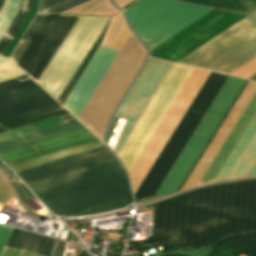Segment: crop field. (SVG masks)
Instances as JSON below:
<instances>
[{
	"mask_svg": "<svg viewBox=\"0 0 256 256\" xmlns=\"http://www.w3.org/2000/svg\"><path fill=\"white\" fill-rule=\"evenodd\" d=\"M96 139L85 128L63 134L54 138L40 141L19 149L1 153L0 157L8 164L17 163L46 153L60 150L69 146Z\"/></svg>",
	"mask_w": 256,
	"mask_h": 256,
	"instance_id": "obj_13",
	"label": "crop field"
},
{
	"mask_svg": "<svg viewBox=\"0 0 256 256\" xmlns=\"http://www.w3.org/2000/svg\"><path fill=\"white\" fill-rule=\"evenodd\" d=\"M15 194L0 173V202L6 204Z\"/></svg>",
	"mask_w": 256,
	"mask_h": 256,
	"instance_id": "obj_25",
	"label": "crop field"
},
{
	"mask_svg": "<svg viewBox=\"0 0 256 256\" xmlns=\"http://www.w3.org/2000/svg\"><path fill=\"white\" fill-rule=\"evenodd\" d=\"M63 113H67V111L65 109H63L59 104L50 106V107H47V108H44V109H41L38 111H34V112H31V113H28L25 115H21V116L0 122V132L9 130L12 128H16V127H19L22 125H26V124H29L32 122H36V121H39L42 119H46V118H49L52 116L63 114ZM67 128H69L72 131V130H76L79 128H83V126L81 124H79L76 120H74V121H71V122L63 124V125L39 130V133L41 134V136H43V135H47V134L57 132V131L67 129ZM69 129L63 130V131H60L57 133H53V134H50L47 136H43V137H41L40 134L38 133V131H36L33 133H29V134L11 139L12 141L16 140L19 145H17L16 141L11 142L10 139L6 140V141H2V142H0V153L7 151L6 148H8V147H11L14 145L20 146L23 144H27V143H30V142H33L36 140H40V139H43V138H46L49 136H53V135H56V134H59L62 132L69 131ZM17 146H14V147H17ZM14 147L8 148V150L12 149Z\"/></svg>",
	"mask_w": 256,
	"mask_h": 256,
	"instance_id": "obj_11",
	"label": "crop field"
},
{
	"mask_svg": "<svg viewBox=\"0 0 256 256\" xmlns=\"http://www.w3.org/2000/svg\"><path fill=\"white\" fill-rule=\"evenodd\" d=\"M256 56V11L179 63L229 74Z\"/></svg>",
	"mask_w": 256,
	"mask_h": 256,
	"instance_id": "obj_4",
	"label": "crop field"
},
{
	"mask_svg": "<svg viewBox=\"0 0 256 256\" xmlns=\"http://www.w3.org/2000/svg\"><path fill=\"white\" fill-rule=\"evenodd\" d=\"M244 17L213 9L150 51L151 56L177 62Z\"/></svg>",
	"mask_w": 256,
	"mask_h": 256,
	"instance_id": "obj_8",
	"label": "crop field"
},
{
	"mask_svg": "<svg viewBox=\"0 0 256 256\" xmlns=\"http://www.w3.org/2000/svg\"><path fill=\"white\" fill-rule=\"evenodd\" d=\"M130 32L124 17L120 13L112 17L102 44L121 50Z\"/></svg>",
	"mask_w": 256,
	"mask_h": 256,
	"instance_id": "obj_16",
	"label": "crop field"
},
{
	"mask_svg": "<svg viewBox=\"0 0 256 256\" xmlns=\"http://www.w3.org/2000/svg\"><path fill=\"white\" fill-rule=\"evenodd\" d=\"M79 16L49 14L19 63L35 82Z\"/></svg>",
	"mask_w": 256,
	"mask_h": 256,
	"instance_id": "obj_9",
	"label": "crop field"
},
{
	"mask_svg": "<svg viewBox=\"0 0 256 256\" xmlns=\"http://www.w3.org/2000/svg\"><path fill=\"white\" fill-rule=\"evenodd\" d=\"M255 92L256 83L248 81L245 88L241 92L240 96L236 100L235 104L231 108L230 112L226 116L225 120L221 124L220 128L216 132L215 136L209 143L208 147L204 151L203 155L199 159L198 163L194 167L193 171L191 172V174L189 175L188 179L186 180L181 189L197 185L200 178L206 171L207 167L213 160L214 156L220 149L221 145L227 138L228 134L230 133L234 125L236 124L237 120L243 113L244 109L250 102Z\"/></svg>",
	"mask_w": 256,
	"mask_h": 256,
	"instance_id": "obj_10",
	"label": "crop field"
},
{
	"mask_svg": "<svg viewBox=\"0 0 256 256\" xmlns=\"http://www.w3.org/2000/svg\"><path fill=\"white\" fill-rule=\"evenodd\" d=\"M195 4L211 6L229 11L248 14L256 8V0H180Z\"/></svg>",
	"mask_w": 256,
	"mask_h": 256,
	"instance_id": "obj_17",
	"label": "crop field"
},
{
	"mask_svg": "<svg viewBox=\"0 0 256 256\" xmlns=\"http://www.w3.org/2000/svg\"><path fill=\"white\" fill-rule=\"evenodd\" d=\"M31 84H34V82L30 80L26 75L4 81L0 83V94Z\"/></svg>",
	"mask_w": 256,
	"mask_h": 256,
	"instance_id": "obj_21",
	"label": "crop field"
},
{
	"mask_svg": "<svg viewBox=\"0 0 256 256\" xmlns=\"http://www.w3.org/2000/svg\"><path fill=\"white\" fill-rule=\"evenodd\" d=\"M248 79H252V80H255V81H256V73L253 74L252 76H250Z\"/></svg>",
	"mask_w": 256,
	"mask_h": 256,
	"instance_id": "obj_32",
	"label": "crop field"
},
{
	"mask_svg": "<svg viewBox=\"0 0 256 256\" xmlns=\"http://www.w3.org/2000/svg\"><path fill=\"white\" fill-rule=\"evenodd\" d=\"M111 158L114 156L103 146L17 174L28 184ZM28 186L55 214L65 216L131 195L116 158Z\"/></svg>",
	"mask_w": 256,
	"mask_h": 256,
	"instance_id": "obj_2",
	"label": "crop field"
},
{
	"mask_svg": "<svg viewBox=\"0 0 256 256\" xmlns=\"http://www.w3.org/2000/svg\"><path fill=\"white\" fill-rule=\"evenodd\" d=\"M225 78V75L211 72L138 191L136 190V200L153 195ZM244 82V79L227 76L154 194L162 196L176 191Z\"/></svg>",
	"mask_w": 256,
	"mask_h": 256,
	"instance_id": "obj_3",
	"label": "crop field"
},
{
	"mask_svg": "<svg viewBox=\"0 0 256 256\" xmlns=\"http://www.w3.org/2000/svg\"><path fill=\"white\" fill-rule=\"evenodd\" d=\"M246 82L244 83L243 87L241 88V90L239 91V93L237 94L236 98L234 99V101L232 102L231 106L229 107V109L227 110V112L225 113L224 117L222 118V120L220 121V123L218 124L217 128L215 129V131L213 132L212 136L210 137V139L208 140V142L206 143L205 147L203 148V150L201 151V153L199 154L198 158L196 159V161L194 162V164L192 165L191 169L189 170V172L187 173L186 177L184 178V180L182 181L181 185L179 186V188L177 189L180 190V188L182 187L183 183L185 182V180L187 179L188 175L190 174V172L192 171L193 167L195 166V164L197 163L198 159L200 158V156L202 155L203 151L205 150V148L207 147L208 143L210 142V140L212 139L213 135L215 134V132L217 131V129L219 128L220 124L222 123V121L224 120L225 116L227 115V113L229 112L230 108L232 107V105L234 104L235 100L237 99V97L239 96L240 92L242 91V89L244 88Z\"/></svg>",
	"mask_w": 256,
	"mask_h": 256,
	"instance_id": "obj_27",
	"label": "crop field"
},
{
	"mask_svg": "<svg viewBox=\"0 0 256 256\" xmlns=\"http://www.w3.org/2000/svg\"><path fill=\"white\" fill-rule=\"evenodd\" d=\"M13 186L15 187V189L17 190L21 200L26 203L32 199H34V196L28 191V189L20 183H16V182H12Z\"/></svg>",
	"mask_w": 256,
	"mask_h": 256,
	"instance_id": "obj_26",
	"label": "crop field"
},
{
	"mask_svg": "<svg viewBox=\"0 0 256 256\" xmlns=\"http://www.w3.org/2000/svg\"><path fill=\"white\" fill-rule=\"evenodd\" d=\"M57 104L36 84L0 95V121Z\"/></svg>",
	"mask_w": 256,
	"mask_h": 256,
	"instance_id": "obj_12",
	"label": "crop field"
},
{
	"mask_svg": "<svg viewBox=\"0 0 256 256\" xmlns=\"http://www.w3.org/2000/svg\"><path fill=\"white\" fill-rule=\"evenodd\" d=\"M87 0H65L40 12L60 13Z\"/></svg>",
	"mask_w": 256,
	"mask_h": 256,
	"instance_id": "obj_23",
	"label": "crop field"
},
{
	"mask_svg": "<svg viewBox=\"0 0 256 256\" xmlns=\"http://www.w3.org/2000/svg\"><path fill=\"white\" fill-rule=\"evenodd\" d=\"M3 3H4V0H0V10H1L2 6H3Z\"/></svg>",
	"mask_w": 256,
	"mask_h": 256,
	"instance_id": "obj_33",
	"label": "crop field"
},
{
	"mask_svg": "<svg viewBox=\"0 0 256 256\" xmlns=\"http://www.w3.org/2000/svg\"><path fill=\"white\" fill-rule=\"evenodd\" d=\"M12 230V227L0 225V252Z\"/></svg>",
	"mask_w": 256,
	"mask_h": 256,
	"instance_id": "obj_28",
	"label": "crop field"
},
{
	"mask_svg": "<svg viewBox=\"0 0 256 256\" xmlns=\"http://www.w3.org/2000/svg\"><path fill=\"white\" fill-rule=\"evenodd\" d=\"M61 1L63 0H42L39 11Z\"/></svg>",
	"mask_w": 256,
	"mask_h": 256,
	"instance_id": "obj_29",
	"label": "crop field"
},
{
	"mask_svg": "<svg viewBox=\"0 0 256 256\" xmlns=\"http://www.w3.org/2000/svg\"><path fill=\"white\" fill-rule=\"evenodd\" d=\"M117 120H118V119L113 118V120H112V122H111V125H110V128H109V131H108V133H107V137H106V141H107V142H108V140H109V138H110V136H111V133H112V131H113V129H114V126H115V124H116Z\"/></svg>",
	"mask_w": 256,
	"mask_h": 256,
	"instance_id": "obj_30",
	"label": "crop field"
},
{
	"mask_svg": "<svg viewBox=\"0 0 256 256\" xmlns=\"http://www.w3.org/2000/svg\"><path fill=\"white\" fill-rule=\"evenodd\" d=\"M255 113H256V94L254 95L251 102L249 103V105L245 109L244 113L242 114V116L238 120L237 124L235 125V127L231 131L230 135L228 136V138L226 139V141L222 145L221 149L219 150V152L215 156L214 160L212 161V163L208 167L207 171L205 172V174L201 178L198 185L213 181L216 174L220 170L221 166L223 165V163L227 159L228 155L232 151L233 147L235 146V144L239 140L240 136L244 132L245 128L247 127V125L249 124V122L251 121V119H252V117L254 116Z\"/></svg>",
	"mask_w": 256,
	"mask_h": 256,
	"instance_id": "obj_15",
	"label": "crop field"
},
{
	"mask_svg": "<svg viewBox=\"0 0 256 256\" xmlns=\"http://www.w3.org/2000/svg\"><path fill=\"white\" fill-rule=\"evenodd\" d=\"M32 0H21L20 8L13 18L12 22L8 26L7 30L5 31L4 35L0 39V55L4 52L5 48L11 41L12 37L18 30L19 26L25 19L26 15L30 10Z\"/></svg>",
	"mask_w": 256,
	"mask_h": 256,
	"instance_id": "obj_19",
	"label": "crop field"
},
{
	"mask_svg": "<svg viewBox=\"0 0 256 256\" xmlns=\"http://www.w3.org/2000/svg\"><path fill=\"white\" fill-rule=\"evenodd\" d=\"M54 241L33 233L13 229L5 246L51 256ZM4 247L0 256H41L32 252Z\"/></svg>",
	"mask_w": 256,
	"mask_h": 256,
	"instance_id": "obj_14",
	"label": "crop field"
},
{
	"mask_svg": "<svg viewBox=\"0 0 256 256\" xmlns=\"http://www.w3.org/2000/svg\"><path fill=\"white\" fill-rule=\"evenodd\" d=\"M114 1L116 4H118L124 10L123 7L130 4L134 0H114Z\"/></svg>",
	"mask_w": 256,
	"mask_h": 256,
	"instance_id": "obj_31",
	"label": "crop field"
},
{
	"mask_svg": "<svg viewBox=\"0 0 256 256\" xmlns=\"http://www.w3.org/2000/svg\"><path fill=\"white\" fill-rule=\"evenodd\" d=\"M210 10L170 0H138L124 12L150 51Z\"/></svg>",
	"mask_w": 256,
	"mask_h": 256,
	"instance_id": "obj_5",
	"label": "crop field"
},
{
	"mask_svg": "<svg viewBox=\"0 0 256 256\" xmlns=\"http://www.w3.org/2000/svg\"><path fill=\"white\" fill-rule=\"evenodd\" d=\"M24 75L12 62L0 65V82L17 76Z\"/></svg>",
	"mask_w": 256,
	"mask_h": 256,
	"instance_id": "obj_22",
	"label": "crop field"
},
{
	"mask_svg": "<svg viewBox=\"0 0 256 256\" xmlns=\"http://www.w3.org/2000/svg\"><path fill=\"white\" fill-rule=\"evenodd\" d=\"M209 74V71L194 68L129 173L134 193L147 175Z\"/></svg>",
	"mask_w": 256,
	"mask_h": 256,
	"instance_id": "obj_7",
	"label": "crop field"
},
{
	"mask_svg": "<svg viewBox=\"0 0 256 256\" xmlns=\"http://www.w3.org/2000/svg\"><path fill=\"white\" fill-rule=\"evenodd\" d=\"M192 70V67L174 64L132 133L121 148L117 156L125 166L128 173Z\"/></svg>",
	"mask_w": 256,
	"mask_h": 256,
	"instance_id": "obj_6",
	"label": "crop field"
},
{
	"mask_svg": "<svg viewBox=\"0 0 256 256\" xmlns=\"http://www.w3.org/2000/svg\"><path fill=\"white\" fill-rule=\"evenodd\" d=\"M256 72V57L235 70L234 72L231 73V75H236L240 77L247 78L253 73Z\"/></svg>",
	"mask_w": 256,
	"mask_h": 256,
	"instance_id": "obj_24",
	"label": "crop field"
},
{
	"mask_svg": "<svg viewBox=\"0 0 256 256\" xmlns=\"http://www.w3.org/2000/svg\"><path fill=\"white\" fill-rule=\"evenodd\" d=\"M240 232H256V179L157 202L151 244L199 246Z\"/></svg>",
	"mask_w": 256,
	"mask_h": 256,
	"instance_id": "obj_1",
	"label": "crop field"
},
{
	"mask_svg": "<svg viewBox=\"0 0 256 256\" xmlns=\"http://www.w3.org/2000/svg\"><path fill=\"white\" fill-rule=\"evenodd\" d=\"M130 201H131V196L111 202V203H107V204H104V205H101L98 207H94V208H91V209H88V210H85L82 212L75 213L73 216L95 214V213H100V212L117 209V208H120V207L130 203Z\"/></svg>",
	"mask_w": 256,
	"mask_h": 256,
	"instance_id": "obj_20",
	"label": "crop field"
},
{
	"mask_svg": "<svg viewBox=\"0 0 256 256\" xmlns=\"http://www.w3.org/2000/svg\"><path fill=\"white\" fill-rule=\"evenodd\" d=\"M48 14H37L34 21L28 28L27 32L21 39L20 43L14 50L13 54L11 55V59L18 65L19 61L23 57L24 53L26 52L27 48L31 44L32 40L34 39L35 35L39 31L40 27L42 26L43 22L47 18Z\"/></svg>",
	"mask_w": 256,
	"mask_h": 256,
	"instance_id": "obj_18",
	"label": "crop field"
}]
</instances>
